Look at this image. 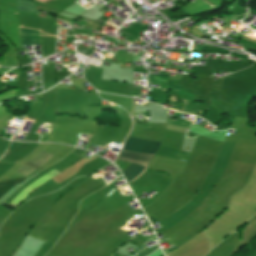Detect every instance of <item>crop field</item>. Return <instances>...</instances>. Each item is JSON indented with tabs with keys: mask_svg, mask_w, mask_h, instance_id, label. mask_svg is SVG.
Segmentation results:
<instances>
[{
	"mask_svg": "<svg viewBox=\"0 0 256 256\" xmlns=\"http://www.w3.org/2000/svg\"><path fill=\"white\" fill-rule=\"evenodd\" d=\"M21 45H35L39 44L38 29H26L19 32Z\"/></svg>",
	"mask_w": 256,
	"mask_h": 256,
	"instance_id": "34b2d1b8",
	"label": "crop field"
},
{
	"mask_svg": "<svg viewBox=\"0 0 256 256\" xmlns=\"http://www.w3.org/2000/svg\"><path fill=\"white\" fill-rule=\"evenodd\" d=\"M159 142H152V141H143L138 139L130 138L128 139L125 148L126 150L144 152L153 154L155 150H157ZM123 150L119 160L125 161L130 164L139 165L146 167L147 164L150 162L152 155L126 151ZM131 165L128 170H126L124 175L127 177L129 181H132L136 178L145 168L138 167Z\"/></svg>",
	"mask_w": 256,
	"mask_h": 256,
	"instance_id": "8a807250",
	"label": "crop field"
},
{
	"mask_svg": "<svg viewBox=\"0 0 256 256\" xmlns=\"http://www.w3.org/2000/svg\"><path fill=\"white\" fill-rule=\"evenodd\" d=\"M53 155L46 153L42 151L40 154H38L35 158L27 162L25 165L20 167L16 172L26 176L29 173H31L33 170L41 166L43 163H45L47 160H49Z\"/></svg>",
	"mask_w": 256,
	"mask_h": 256,
	"instance_id": "ac0d7876",
	"label": "crop field"
},
{
	"mask_svg": "<svg viewBox=\"0 0 256 256\" xmlns=\"http://www.w3.org/2000/svg\"><path fill=\"white\" fill-rule=\"evenodd\" d=\"M17 4H18V10L36 12L33 2L26 1V0H17Z\"/></svg>",
	"mask_w": 256,
	"mask_h": 256,
	"instance_id": "412701ff",
	"label": "crop field"
}]
</instances>
